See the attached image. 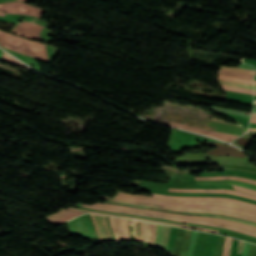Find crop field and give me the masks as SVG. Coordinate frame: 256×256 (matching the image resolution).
Returning <instances> with one entry per match:
<instances>
[{"label":"crop field","instance_id":"28ad6ade","mask_svg":"<svg viewBox=\"0 0 256 256\" xmlns=\"http://www.w3.org/2000/svg\"><path fill=\"white\" fill-rule=\"evenodd\" d=\"M94 221V224L97 229V233L101 241H110L113 240L111 234L106 226L105 218L98 215H91Z\"/></svg>","mask_w":256,"mask_h":256},{"label":"crop field","instance_id":"22f410ed","mask_svg":"<svg viewBox=\"0 0 256 256\" xmlns=\"http://www.w3.org/2000/svg\"><path fill=\"white\" fill-rule=\"evenodd\" d=\"M169 191H174V192L229 193V194L240 195V196H244V197H249V198L256 199V196H255V195L246 194V193L237 192V191H231V190H189V189H169Z\"/></svg>","mask_w":256,"mask_h":256},{"label":"crop field","instance_id":"f4fd0767","mask_svg":"<svg viewBox=\"0 0 256 256\" xmlns=\"http://www.w3.org/2000/svg\"><path fill=\"white\" fill-rule=\"evenodd\" d=\"M114 201H120V202H126V203H134V204H139L143 206H148V207H155V208H161V209H170V210H178V211H185V212H210V213H219V214H226V215H231L239 218H244L252 221H256V218L250 217V216H245L241 214H236L228 211H223V210H208V209H184V208H174V207H165V206H159V205H153V204H148V203H141V202H135V201H128V200H122V199H116L112 198Z\"/></svg>","mask_w":256,"mask_h":256},{"label":"crop field","instance_id":"028f5c9d","mask_svg":"<svg viewBox=\"0 0 256 256\" xmlns=\"http://www.w3.org/2000/svg\"><path fill=\"white\" fill-rule=\"evenodd\" d=\"M20 1H24V2H26V0H20Z\"/></svg>","mask_w":256,"mask_h":256},{"label":"crop field","instance_id":"730fd06b","mask_svg":"<svg viewBox=\"0 0 256 256\" xmlns=\"http://www.w3.org/2000/svg\"><path fill=\"white\" fill-rule=\"evenodd\" d=\"M70 212H72V210H65V209H63V210L60 211L59 213H57V214H55V215H52V216H49V217H48V222H50V221H52V220H54V219H56V218H58V217H60V216H63V215H65V214H67V213H70Z\"/></svg>","mask_w":256,"mask_h":256},{"label":"crop field","instance_id":"ac0d7876","mask_svg":"<svg viewBox=\"0 0 256 256\" xmlns=\"http://www.w3.org/2000/svg\"><path fill=\"white\" fill-rule=\"evenodd\" d=\"M81 206L89 207V208H95V209H100V210H105V211H109V212L126 213V214H134V215H141V216H148V217L170 219V220H176V221H182V222H192V223L207 224V225H212V226L223 227V228L235 230V231L242 232V233L249 234V235H252V236L256 237V233L255 232H251V231H248V230H244V229H240V228H236V227H232V226L221 225V224H217V223H213V222L200 221V220H188V219L169 218V217L156 216V215L144 214V213L133 212V211H126V210H119V209L105 208V207H97V206H90V205H84V204H82Z\"/></svg>","mask_w":256,"mask_h":256},{"label":"crop field","instance_id":"a9b5d70f","mask_svg":"<svg viewBox=\"0 0 256 256\" xmlns=\"http://www.w3.org/2000/svg\"><path fill=\"white\" fill-rule=\"evenodd\" d=\"M157 225L150 223V244H154Z\"/></svg>","mask_w":256,"mask_h":256},{"label":"crop field","instance_id":"e1f06a70","mask_svg":"<svg viewBox=\"0 0 256 256\" xmlns=\"http://www.w3.org/2000/svg\"><path fill=\"white\" fill-rule=\"evenodd\" d=\"M254 90H256V86H255Z\"/></svg>","mask_w":256,"mask_h":256},{"label":"crop field","instance_id":"733c2abd","mask_svg":"<svg viewBox=\"0 0 256 256\" xmlns=\"http://www.w3.org/2000/svg\"><path fill=\"white\" fill-rule=\"evenodd\" d=\"M219 82L222 85H228V86H233V87H238V88H244V89H250V90H252V88H253V86H251V85H246V84H241V83H236V82L222 81V80H219Z\"/></svg>","mask_w":256,"mask_h":256},{"label":"crop field","instance_id":"5a996713","mask_svg":"<svg viewBox=\"0 0 256 256\" xmlns=\"http://www.w3.org/2000/svg\"><path fill=\"white\" fill-rule=\"evenodd\" d=\"M42 28L43 26L31 22H23L16 27L13 33L40 40L39 32Z\"/></svg>","mask_w":256,"mask_h":256},{"label":"crop field","instance_id":"bd1437ed","mask_svg":"<svg viewBox=\"0 0 256 256\" xmlns=\"http://www.w3.org/2000/svg\"><path fill=\"white\" fill-rule=\"evenodd\" d=\"M251 122H256V118H252V119H251Z\"/></svg>","mask_w":256,"mask_h":256},{"label":"crop field","instance_id":"1d83c4d3","mask_svg":"<svg viewBox=\"0 0 256 256\" xmlns=\"http://www.w3.org/2000/svg\"><path fill=\"white\" fill-rule=\"evenodd\" d=\"M112 229H113V227H112ZM113 231H114V229H113ZM114 233H115V235H116V238H117V240H118V237H117V234H116V232L114 231ZM119 241V240H118Z\"/></svg>","mask_w":256,"mask_h":256},{"label":"crop field","instance_id":"92a150f3","mask_svg":"<svg viewBox=\"0 0 256 256\" xmlns=\"http://www.w3.org/2000/svg\"><path fill=\"white\" fill-rule=\"evenodd\" d=\"M219 74L236 76V77H241V78H246V79L253 80V76H251V75L240 74V73H235V72H228V71H221V70H219Z\"/></svg>","mask_w":256,"mask_h":256},{"label":"crop field","instance_id":"8a807250","mask_svg":"<svg viewBox=\"0 0 256 256\" xmlns=\"http://www.w3.org/2000/svg\"><path fill=\"white\" fill-rule=\"evenodd\" d=\"M0 45L21 54L48 61L47 51L44 44L18 38L0 31Z\"/></svg>","mask_w":256,"mask_h":256},{"label":"crop field","instance_id":"d9b57169","mask_svg":"<svg viewBox=\"0 0 256 256\" xmlns=\"http://www.w3.org/2000/svg\"><path fill=\"white\" fill-rule=\"evenodd\" d=\"M69 209H71V208H69ZM73 210H79V209H73ZM79 211H85V210H79ZM86 212H91V211H86ZM93 213H96V212H93ZM100 214H102V213H100ZM108 215H110V214H108ZM114 216H117V215H114ZM120 217H125V216H120ZM128 218H132V217H128ZM136 219H138V218H136ZM142 220H144V219H142ZM148 221H152V220H148ZM154 222H160V221H154ZM160 223L182 226V225L173 224V223H167V222H160ZM183 227H188V228H194V229H199V230L219 233V231H216V230H209V229H204V228H200V227H191V226H183Z\"/></svg>","mask_w":256,"mask_h":256},{"label":"crop field","instance_id":"34b2d1b8","mask_svg":"<svg viewBox=\"0 0 256 256\" xmlns=\"http://www.w3.org/2000/svg\"><path fill=\"white\" fill-rule=\"evenodd\" d=\"M96 205L97 206L120 208V209H127V210H133V211H139V212H145V213H151V214H157V215H163V216L177 217V218H189V219H200V220L213 221V222L232 225V226H236V227H240V228H244V229H248V230L256 232V227L246 226V225H242V224H238V223H235V222L222 220V219H214V218H206V217H192V216H178V215L152 212V211H146V210H140V209H134V208H128V207H122V206H115V205H107V204H101V203H98Z\"/></svg>","mask_w":256,"mask_h":256},{"label":"crop field","instance_id":"5866460e","mask_svg":"<svg viewBox=\"0 0 256 256\" xmlns=\"http://www.w3.org/2000/svg\"><path fill=\"white\" fill-rule=\"evenodd\" d=\"M249 130H254V131H256V129H249Z\"/></svg>","mask_w":256,"mask_h":256},{"label":"crop field","instance_id":"3316defc","mask_svg":"<svg viewBox=\"0 0 256 256\" xmlns=\"http://www.w3.org/2000/svg\"><path fill=\"white\" fill-rule=\"evenodd\" d=\"M170 126H174V127H178V128H182V129H186V130H190V131L210 135V136L216 137L218 139H221V140H224V141H227V142H229V141L235 139L236 137H238L237 135H230V134L200 130V129H197V128H193V127H190V126H186V125H182V124H178V123H174V122H171Z\"/></svg>","mask_w":256,"mask_h":256},{"label":"crop field","instance_id":"d8731c3e","mask_svg":"<svg viewBox=\"0 0 256 256\" xmlns=\"http://www.w3.org/2000/svg\"><path fill=\"white\" fill-rule=\"evenodd\" d=\"M119 195H125V196H131V197H137V198H143V199H152V200H158V201H167V202H176V203H183V204H210V205H226L234 208H239L243 210H248L252 212H256V209L237 205L233 203H227V202H219V201H179V200H164V199H157L152 197H146V196H138V195H132V194H124L119 193Z\"/></svg>","mask_w":256,"mask_h":256},{"label":"crop field","instance_id":"d32e631a","mask_svg":"<svg viewBox=\"0 0 256 256\" xmlns=\"http://www.w3.org/2000/svg\"><path fill=\"white\" fill-rule=\"evenodd\" d=\"M0 15L3 16V15H5V13H1V12H0Z\"/></svg>","mask_w":256,"mask_h":256},{"label":"crop field","instance_id":"750c4746","mask_svg":"<svg viewBox=\"0 0 256 256\" xmlns=\"http://www.w3.org/2000/svg\"><path fill=\"white\" fill-rule=\"evenodd\" d=\"M243 244H244V242H242V241L239 242L237 253H242Z\"/></svg>","mask_w":256,"mask_h":256},{"label":"crop field","instance_id":"dd49c442","mask_svg":"<svg viewBox=\"0 0 256 256\" xmlns=\"http://www.w3.org/2000/svg\"><path fill=\"white\" fill-rule=\"evenodd\" d=\"M0 10L8 12V13H20V14L32 15L37 18H39V16L43 12V9L28 6L20 1L1 3Z\"/></svg>","mask_w":256,"mask_h":256},{"label":"crop field","instance_id":"0bd39190","mask_svg":"<svg viewBox=\"0 0 256 256\" xmlns=\"http://www.w3.org/2000/svg\"><path fill=\"white\" fill-rule=\"evenodd\" d=\"M255 85H256V81H255Z\"/></svg>","mask_w":256,"mask_h":256},{"label":"crop field","instance_id":"120bbe31","mask_svg":"<svg viewBox=\"0 0 256 256\" xmlns=\"http://www.w3.org/2000/svg\"><path fill=\"white\" fill-rule=\"evenodd\" d=\"M252 117H256V114H255V113H253Z\"/></svg>","mask_w":256,"mask_h":256},{"label":"crop field","instance_id":"412701ff","mask_svg":"<svg viewBox=\"0 0 256 256\" xmlns=\"http://www.w3.org/2000/svg\"><path fill=\"white\" fill-rule=\"evenodd\" d=\"M107 204H115V205H123V206H130V207H136V208H142V209H148V210H154V211H160V212H167V213H175V214H183V215H193V216H208V217H214V218H222V219H227L251 226H256L255 222L231 217V216H226V215H218V214H210V213H184V212H177V211H169V210H161V209H154V208H148V207H142L138 205H130V204H121V203H115V202H110L107 201L105 202Z\"/></svg>","mask_w":256,"mask_h":256},{"label":"crop field","instance_id":"4177f3b9","mask_svg":"<svg viewBox=\"0 0 256 256\" xmlns=\"http://www.w3.org/2000/svg\"><path fill=\"white\" fill-rule=\"evenodd\" d=\"M231 241V238L226 237L223 256H229Z\"/></svg>","mask_w":256,"mask_h":256},{"label":"crop field","instance_id":"214f88e0","mask_svg":"<svg viewBox=\"0 0 256 256\" xmlns=\"http://www.w3.org/2000/svg\"><path fill=\"white\" fill-rule=\"evenodd\" d=\"M136 240L143 241L142 222L135 221Z\"/></svg>","mask_w":256,"mask_h":256},{"label":"crop field","instance_id":"bc2a9ffb","mask_svg":"<svg viewBox=\"0 0 256 256\" xmlns=\"http://www.w3.org/2000/svg\"><path fill=\"white\" fill-rule=\"evenodd\" d=\"M219 79H222V80H230V81H236V82H241V83H246V84H251V85H253V81H251V80H246V79H241V78H235V77H230V76L219 75Z\"/></svg>","mask_w":256,"mask_h":256},{"label":"crop field","instance_id":"4a817a6b","mask_svg":"<svg viewBox=\"0 0 256 256\" xmlns=\"http://www.w3.org/2000/svg\"><path fill=\"white\" fill-rule=\"evenodd\" d=\"M82 213L83 212L74 211V212H72V213H70L68 215H65V216H63V217H61V218H59V219H57V220H55V221H53L51 223H53V224H60V223H63V222H65V221H67V220H69V219H71V218H73V217H75V216H77L79 214H82Z\"/></svg>","mask_w":256,"mask_h":256},{"label":"crop field","instance_id":"00972430","mask_svg":"<svg viewBox=\"0 0 256 256\" xmlns=\"http://www.w3.org/2000/svg\"><path fill=\"white\" fill-rule=\"evenodd\" d=\"M120 220H121V224H122V227H123V231H124V235H125V240L126 241H130L127 220L121 219V218H120Z\"/></svg>","mask_w":256,"mask_h":256},{"label":"crop field","instance_id":"eef30255","mask_svg":"<svg viewBox=\"0 0 256 256\" xmlns=\"http://www.w3.org/2000/svg\"><path fill=\"white\" fill-rule=\"evenodd\" d=\"M114 221H115L116 229H117V232H118V234L120 236V239L123 240L124 239V235H123V231H122V228H121L120 220L114 218Z\"/></svg>","mask_w":256,"mask_h":256},{"label":"crop field","instance_id":"d3111659","mask_svg":"<svg viewBox=\"0 0 256 256\" xmlns=\"http://www.w3.org/2000/svg\"><path fill=\"white\" fill-rule=\"evenodd\" d=\"M233 187L235 188V190H238V191H243V192H248V193L256 194V191L244 189V188L237 187V186H233Z\"/></svg>","mask_w":256,"mask_h":256},{"label":"crop field","instance_id":"ae1a2a85","mask_svg":"<svg viewBox=\"0 0 256 256\" xmlns=\"http://www.w3.org/2000/svg\"><path fill=\"white\" fill-rule=\"evenodd\" d=\"M144 241L149 242V223L143 222Z\"/></svg>","mask_w":256,"mask_h":256},{"label":"crop field","instance_id":"e52e79f7","mask_svg":"<svg viewBox=\"0 0 256 256\" xmlns=\"http://www.w3.org/2000/svg\"><path fill=\"white\" fill-rule=\"evenodd\" d=\"M118 198H124L129 200H135V201H142V202H148V203H154V204H160V205H166V206H175V207H185V208H208V209H223V210H229L237 213H242L250 216L256 217L255 213L234 209L226 206H209V205H183V204H174V203H164V202H156V201H149V200H142V199H135V198H128V197H121L116 196Z\"/></svg>","mask_w":256,"mask_h":256},{"label":"crop field","instance_id":"dafd665d","mask_svg":"<svg viewBox=\"0 0 256 256\" xmlns=\"http://www.w3.org/2000/svg\"><path fill=\"white\" fill-rule=\"evenodd\" d=\"M3 59L9 61L10 63H12V64H14V65H16V66H18V67L30 69V68H28L27 66L23 65L22 63L18 62L17 60L13 59L12 57H10V56H9L8 54H6L5 52H4V54H3Z\"/></svg>","mask_w":256,"mask_h":256},{"label":"crop field","instance_id":"5142ce71","mask_svg":"<svg viewBox=\"0 0 256 256\" xmlns=\"http://www.w3.org/2000/svg\"><path fill=\"white\" fill-rule=\"evenodd\" d=\"M196 180H216V179H236L241 181H246L250 183L256 184V181L244 179L241 177H233V176H220V177H195Z\"/></svg>","mask_w":256,"mask_h":256},{"label":"crop field","instance_id":"d1516ede","mask_svg":"<svg viewBox=\"0 0 256 256\" xmlns=\"http://www.w3.org/2000/svg\"><path fill=\"white\" fill-rule=\"evenodd\" d=\"M153 197H160V198H167V199H182V200H220V201H228V202H234L250 207L256 208L255 204L247 203L244 201L236 200V199H225V198H201V197H175V196H164V195H156L153 194Z\"/></svg>","mask_w":256,"mask_h":256},{"label":"crop field","instance_id":"cbeb9de0","mask_svg":"<svg viewBox=\"0 0 256 256\" xmlns=\"http://www.w3.org/2000/svg\"><path fill=\"white\" fill-rule=\"evenodd\" d=\"M197 184H233V185H240L243 187L251 188L256 190V186L254 185H249V184H244L240 182H235L231 180H219V181H196Z\"/></svg>","mask_w":256,"mask_h":256}]
</instances>
